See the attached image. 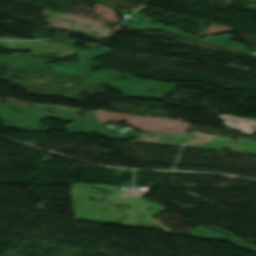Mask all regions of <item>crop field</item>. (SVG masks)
Segmentation results:
<instances>
[{
	"label": "crop field",
	"mask_w": 256,
	"mask_h": 256,
	"mask_svg": "<svg viewBox=\"0 0 256 256\" xmlns=\"http://www.w3.org/2000/svg\"><path fill=\"white\" fill-rule=\"evenodd\" d=\"M70 47L76 51L80 57L78 62L93 66H99V63L93 62L92 59L107 54L109 51L94 48L92 46L86 45L91 50L82 51L74 47L73 42H69ZM0 61L11 66L25 67V68H40L51 66L55 69V72L68 73L85 78V81L105 84L109 87L116 88L124 92L130 97L136 98H151V97H161L165 92H167L172 86H166L160 82L144 81L139 80L128 74H118L114 71L102 70L98 73L89 72V66L77 64V63H67L62 62L60 65L50 64L44 65L46 62H51V59L33 57L23 54L15 53L10 56L0 57ZM123 76L128 80H120L119 77ZM149 90H155L154 92Z\"/></svg>",
	"instance_id": "1"
},
{
	"label": "crop field",
	"mask_w": 256,
	"mask_h": 256,
	"mask_svg": "<svg viewBox=\"0 0 256 256\" xmlns=\"http://www.w3.org/2000/svg\"><path fill=\"white\" fill-rule=\"evenodd\" d=\"M12 107H14L20 111H23V112L27 113L28 115L36 117L37 120H41L46 116L60 118V119H64V120H66L68 118L75 119L77 122H74L65 127V129L69 130L70 133H73V132H88V133L95 132L98 135H100L101 137H106V138H114L119 134L117 132L118 130L105 127L106 125L97 122L96 116L93 113L84 115L82 117L73 114L75 112L74 108L64 109L60 114H47L46 110H48V109L52 108V109H56L58 112H60L64 107L56 106V105H45V104H40L35 109L30 108L25 105H22V104H15ZM43 109L45 111H43L41 113L40 111Z\"/></svg>",
	"instance_id": "2"
},
{
	"label": "crop field",
	"mask_w": 256,
	"mask_h": 256,
	"mask_svg": "<svg viewBox=\"0 0 256 256\" xmlns=\"http://www.w3.org/2000/svg\"><path fill=\"white\" fill-rule=\"evenodd\" d=\"M74 186H93V187H98V188H106L114 193V195L111 197L112 199H115L117 201H126L129 204L132 205V208L127 210L126 212L132 214L129 216L127 219L119 222L121 225H126V226H133L138 223L144 225V226H157L160 229L169 232L170 230L166 229L162 225L152 221L149 217L154 215L155 213L161 211L165 207L146 201L142 198H140L136 194H128L122 192L120 189H117L115 187H112L110 185H86V184H75ZM140 208H150V212H146ZM135 220H132V219Z\"/></svg>",
	"instance_id": "3"
},
{
	"label": "crop field",
	"mask_w": 256,
	"mask_h": 256,
	"mask_svg": "<svg viewBox=\"0 0 256 256\" xmlns=\"http://www.w3.org/2000/svg\"><path fill=\"white\" fill-rule=\"evenodd\" d=\"M133 16L145 19V20L153 22V23H157L159 25L157 26L155 24L148 23V22H145V21H143L139 24L126 21L124 24H122V26H126V27L136 29V30H147V29L165 30L167 32H170L172 34H175V35L180 36V37L185 38V39L205 42V43H208V44H212V45H215V46H218V47H222V48L229 49V50L236 51V52H240V53H248L249 52V51L245 50V48H246L245 45L237 44V43H234V42L228 43V42H230V41H228V39L231 38V36L228 35V34H225L221 37H219V36H209L206 39H202V38H197L195 36H192V35H190L186 32H183V31H181L179 29H176L174 27H171V26H170V28L164 27L163 26L164 23H160V22L150 20V19H148L144 16H141V15H138L136 13H134ZM213 41H218V43H214ZM227 44H232V46H227Z\"/></svg>",
	"instance_id": "4"
},
{
	"label": "crop field",
	"mask_w": 256,
	"mask_h": 256,
	"mask_svg": "<svg viewBox=\"0 0 256 256\" xmlns=\"http://www.w3.org/2000/svg\"><path fill=\"white\" fill-rule=\"evenodd\" d=\"M11 107L0 102V117L4 121V127L10 128V126H22V129L37 130L42 125L35 119L26 116L23 113L20 115L10 113Z\"/></svg>",
	"instance_id": "5"
},
{
	"label": "crop field",
	"mask_w": 256,
	"mask_h": 256,
	"mask_svg": "<svg viewBox=\"0 0 256 256\" xmlns=\"http://www.w3.org/2000/svg\"><path fill=\"white\" fill-rule=\"evenodd\" d=\"M217 118H223L225 119L224 124L225 127L228 128H233L237 130H243V133H251L253 128H250L251 126L254 127L255 123L254 121L246 120V119H241L229 115H220V116H215ZM230 120L237 121L236 123L234 122H229ZM229 124L230 126H227Z\"/></svg>",
	"instance_id": "6"
},
{
	"label": "crop field",
	"mask_w": 256,
	"mask_h": 256,
	"mask_svg": "<svg viewBox=\"0 0 256 256\" xmlns=\"http://www.w3.org/2000/svg\"><path fill=\"white\" fill-rule=\"evenodd\" d=\"M189 235H193L197 237L214 238V239H220V240L224 239L227 236L225 234H220L215 230H210L203 226L197 227L195 230L189 233Z\"/></svg>",
	"instance_id": "7"
},
{
	"label": "crop field",
	"mask_w": 256,
	"mask_h": 256,
	"mask_svg": "<svg viewBox=\"0 0 256 256\" xmlns=\"http://www.w3.org/2000/svg\"><path fill=\"white\" fill-rule=\"evenodd\" d=\"M213 229H216V230H219V231H221L223 233L229 234L230 236L227 238V240H229L230 242L234 243L235 245L241 246V247H244L246 249H249V250H252V251L256 252V245L246 244L242 240H240L239 238L235 237L234 235L230 234L229 232H227V231H225L223 229L216 228V227H213Z\"/></svg>",
	"instance_id": "8"
},
{
	"label": "crop field",
	"mask_w": 256,
	"mask_h": 256,
	"mask_svg": "<svg viewBox=\"0 0 256 256\" xmlns=\"http://www.w3.org/2000/svg\"><path fill=\"white\" fill-rule=\"evenodd\" d=\"M96 1L101 2V3H103V4H106V5H109V6L112 7V5H110V4H109L108 2H106L105 0H96ZM113 8H115V9L121 11V12H125V13H128V12H129V11H126V10H123V9H119V8H116V7H113Z\"/></svg>",
	"instance_id": "9"
},
{
	"label": "crop field",
	"mask_w": 256,
	"mask_h": 256,
	"mask_svg": "<svg viewBox=\"0 0 256 256\" xmlns=\"http://www.w3.org/2000/svg\"><path fill=\"white\" fill-rule=\"evenodd\" d=\"M127 135H129V134L123 133V134L120 135L118 138H119V139H124ZM129 136H133V135H129ZM133 137H135V136H133Z\"/></svg>",
	"instance_id": "10"
},
{
	"label": "crop field",
	"mask_w": 256,
	"mask_h": 256,
	"mask_svg": "<svg viewBox=\"0 0 256 256\" xmlns=\"http://www.w3.org/2000/svg\"><path fill=\"white\" fill-rule=\"evenodd\" d=\"M253 54H255V55H256V52H255V53H253Z\"/></svg>",
	"instance_id": "11"
},
{
	"label": "crop field",
	"mask_w": 256,
	"mask_h": 256,
	"mask_svg": "<svg viewBox=\"0 0 256 256\" xmlns=\"http://www.w3.org/2000/svg\"><path fill=\"white\" fill-rule=\"evenodd\" d=\"M256 131V130H255Z\"/></svg>",
	"instance_id": "12"
}]
</instances>
